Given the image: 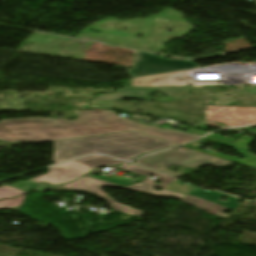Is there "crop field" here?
Listing matches in <instances>:
<instances>
[{
  "mask_svg": "<svg viewBox=\"0 0 256 256\" xmlns=\"http://www.w3.org/2000/svg\"><path fill=\"white\" fill-rule=\"evenodd\" d=\"M149 100H154V99H149ZM170 100H173V99L172 98H168V99H161V100H158V101H170Z\"/></svg>",
  "mask_w": 256,
  "mask_h": 256,
  "instance_id": "obj_23",
  "label": "crop field"
},
{
  "mask_svg": "<svg viewBox=\"0 0 256 256\" xmlns=\"http://www.w3.org/2000/svg\"><path fill=\"white\" fill-rule=\"evenodd\" d=\"M254 89H256V87H254V88H249V89H245L244 91H246V92H252V93L256 94V90H254Z\"/></svg>",
  "mask_w": 256,
  "mask_h": 256,
  "instance_id": "obj_22",
  "label": "crop field"
},
{
  "mask_svg": "<svg viewBox=\"0 0 256 256\" xmlns=\"http://www.w3.org/2000/svg\"><path fill=\"white\" fill-rule=\"evenodd\" d=\"M255 201H256V199H255Z\"/></svg>",
  "mask_w": 256,
  "mask_h": 256,
  "instance_id": "obj_26",
  "label": "crop field"
},
{
  "mask_svg": "<svg viewBox=\"0 0 256 256\" xmlns=\"http://www.w3.org/2000/svg\"><path fill=\"white\" fill-rule=\"evenodd\" d=\"M38 187V186H37ZM35 191H41V192H47V191H53L51 189H48L46 187H43V186H39L38 188L34 189Z\"/></svg>",
  "mask_w": 256,
  "mask_h": 256,
  "instance_id": "obj_19",
  "label": "crop field"
},
{
  "mask_svg": "<svg viewBox=\"0 0 256 256\" xmlns=\"http://www.w3.org/2000/svg\"><path fill=\"white\" fill-rule=\"evenodd\" d=\"M197 66V64L190 61L167 60L137 51L135 68L128 70V72L131 77H135Z\"/></svg>",
  "mask_w": 256,
  "mask_h": 256,
  "instance_id": "obj_5",
  "label": "crop field"
},
{
  "mask_svg": "<svg viewBox=\"0 0 256 256\" xmlns=\"http://www.w3.org/2000/svg\"><path fill=\"white\" fill-rule=\"evenodd\" d=\"M138 81H141L139 83ZM177 86L173 73L134 78L132 87Z\"/></svg>",
  "mask_w": 256,
  "mask_h": 256,
  "instance_id": "obj_9",
  "label": "crop field"
},
{
  "mask_svg": "<svg viewBox=\"0 0 256 256\" xmlns=\"http://www.w3.org/2000/svg\"><path fill=\"white\" fill-rule=\"evenodd\" d=\"M58 191H77V190H73V189H70V188H67V187H63V186H60V187H57V188H54Z\"/></svg>",
  "mask_w": 256,
  "mask_h": 256,
  "instance_id": "obj_20",
  "label": "crop field"
},
{
  "mask_svg": "<svg viewBox=\"0 0 256 256\" xmlns=\"http://www.w3.org/2000/svg\"><path fill=\"white\" fill-rule=\"evenodd\" d=\"M241 134H238L236 137L234 138H227V137H223V136H219V135H215V134H211V135H208L204 138H202V140L206 139V138H209V137H214V138H218V139H221V140H225V141H228V142H233L235 139H237Z\"/></svg>",
  "mask_w": 256,
  "mask_h": 256,
  "instance_id": "obj_18",
  "label": "crop field"
},
{
  "mask_svg": "<svg viewBox=\"0 0 256 256\" xmlns=\"http://www.w3.org/2000/svg\"><path fill=\"white\" fill-rule=\"evenodd\" d=\"M211 109L213 112L211 119L213 120L227 121L241 125L256 124V122L253 121L231 117L228 107L212 106Z\"/></svg>",
  "mask_w": 256,
  "mask_h": 256,
  "instance_id": "obj_10",
  "label": "crop field"
},
{
  "mask_svg": "<svg viewBox=\"0 0 256 256\" xmlns=\"http://www.w3.org/2000/svg\"><path fill=\"white\" fill-rule=\"evenodd\" d=\"M2 184H5V183H2ZM7 185H9V184H7ZM38 184H35V183H32V182H30V181H27V182H22V181H19V182H17V183H14V184H12V185H10V186H13V187H16V188H18V189H21V190H24V191H27V192H29V190L31 189V188H33V187H35V186H37Z\"/></svg>",
  "mask_w": 256,
  "mask_h": 256,
  "instance_id": "obj_16",
  "label": "crop field"
},
{
  "mask_svg": "<svg viewBox=\"0 0 256 256\" xmlns=\"http://www.w3.org/2000/svg\"><path fill=\"white\" fill-rule=\"evenodd\" d=\"M24 199L25 198L22 197L18 199L0 201V209H9V210L16 211L19 209Z\"/></svg>",
  "mask_w": 256,
  "mask_h": 256,
  "instance_id": "obj_14",
  "label": "crop field"
},
{
  "mask_svg": "<svg viewBox=\"0 0 256 256\" xmlns=\"http://www.w3.org/2000/svg\"><path fill=\"white\" fill-rule=\"evenodd\" d=\"M211 114H212V112H211L210 106H207V119L208 120H209Z\"/></svg>",
  "mask_w": 256,
  "mask_h": 256,
  "instance_id": "obj_21",
  "label": "crop field"
},
{
  "mask_svg": "<svg viewBox=\"0 0 256 256\" xmlns=\"http://www.w3.org/2000/svg\"><path fill=\"white\" fill-rule=\"evenodd\" d=\"M222 123H225V124L230 125V126H241V125L231 124V123H227V122H222Z\"/></svg>",
  "mask_w": 256,
  "mask_h": 256,
  "instance_id": "obj_24",
  "label": "crop field"
},
{
  "mask_svg": "<svg viewBox=\"0 0 256 256\" xmlns=\"http://www.w3.org/2000/svg\"><path fill=\"white\" fill-rule=\"evenodd\" d=\"M137 131L178 145L194 136L161 130L118 117L112 110H88L80 112L77 120L65 118H23L0 122V140L8 142L38 143L86 136L105 135L117 132Z\"/></svg>",
  "mask_w": 256,
  "mask_h": 256,
  "instance_id": "obj_1",
  "label": "crop field"
},
{
  "mask_svg": "<svg viewBox=\"0 0 256 256\" xmlns=\"http://www.w3.org/2000/svg\"><path fill=\"white\" fill-rule=\"evenodd\" d=\"M210 140H212L214 142H217V143H220V144L228 145V146H231V147L235 148L238 152H240L242 154V156H244L247 159L245 161H242V160H238V159H236L234 157H230V156H225V155H221V154H213V153L204 152V151L199 150L198 148H196L193 145H187L185 147L194 149V150L202 152V153L214 155V156H217V157H220V158H223V159L232 160V161H234V162H236L238 164H244V165H246L248 167L256 169V156L248 152V145L252 141V138L243 136L239 140H237L234 144L218 141V140H215L213 138L209 139L208 141H210Z\"/></svg>",
  "mask_w": 256,
  "mask_h": 256,
  "instance_id": "obj_8",
  "label": "crop field"
},
{
  "mask_svg": "<svg viewBox=\"0 0 256 256\" xmlns=\"http://www.w3.org/2000/svg\"><path fill=\"white\" fill-rule=\"evenodd\" d=\"M167 146H175V144L137 132L62 140L54 142L52 161L58 163L93 152L129 160Z\"/></svg>",
  "mask_w": 256,
  "mask_h": 256,
  "instance_id": "obj_2",
  "label": "crop field"
},
{
  "mask_svg": "<svg viewBox=\"0 0 256 256\" xmlns=\"http://www.w3.org/2000/svg\"><path fill=\"white\" fill-rule=\"evenodd\" d=\"M231 115L234 117H239L243 119H249L256 121V109L253 108H237L229 107Z\"/></svg>",
  "mask_w": 256,
  "mask_h": 256,
  "instance_id": "obj_12",
  "label": "crop field"
},
{
  "mask_svg": "<svg viewBox=\"0 0 256 256\" xmlns=\"http://www.w3.org/2000/svg\"><path fill=\"white\" fill-rule=\"evenodd\" d=\"M235 87H239V88H244V86H241V85H233Z\"/></svg>",
  "mask_w": 256,
  "mask_h": 256,
  "instance_id": "obj_25",
  "label": "crop field"
},
{
  "mask_svg": "<svg viewBox=\"0 0 256 256\" xmlns=\"http://www.w3.org/2000/svg\"><path fill=\"white\" fill-rule=\"evenodd\" d=\"M191 91L189 87H157V88H121L111 95H97L95 100L115 101L121 98H135L147 100L148 95L154 92H162L173 98L183 97Z\"/></svg>",
  "mask_w": 256,
  "mask_h": 256,
  "instance_id": "obj_6",
  "label": "crop field"
},
{
  "mask_svg": "<svg viewBox=\"0 0 256 256\" xmlns=\"http://www.w3.org/2000/svg\"><path fill=\"white\" fill-rule=\"evenodd\" d=\"M217 100L212 101L214 105H222L229 106L235 102H238L236 99L226 96L224 94L221 95H213Z\"/></svg>",
  "mask_w": 256,
  "mask_h": 256,
  "instance_id": "obj_15",
  "label": "crop field"
},
{
  "mask_svg": "<svg viewBox=\"0 0 256 256\" xmlns=\"http://www.w3.org/2000/svg\"><path fill=\"white\" fill-rule=\"evenodd\" d=\"M118 170L135 173L138 174L141 178L136 181L142 184H148L152 185L154 187L164 188L167 190H171L178 193L187 194L182 202L192 204L193 202L196 203L195 206H197L199 209L206 211L207 213L214 214L220 217H227V214L221 213L222 210H234L239 206L238 199H235L233 197L221 194L216 191H207L203 190L194 186H191L189 184H184L176 180L175 178L165 176L153 171H149L140 167H136L133 165H125ZM90 173L86 176L101 179L107 182L123 185L126 187L131 186L132 184L136 182L127 181V180H117L113 178L108 177H94ZM149 175L158 176V178L155 181L146 179ZM156 181H159L160 183H155ZM224 196L228 197V201L220 200ZM190 201V202H187ZM194 205V204H192Z\"/></svg>",
  "mask_w": 256,
  "mask_h": 256,
  "instance_id": "obj_3",
  "label": "crop field"
},
{
  "mask_svg": "<svg viewBox=\"0 0 256 256\" xmlns=\"http://www.w3.org/2000/svg\"><path fill=\"white\" fill-rule=\"evenodd\" d=\"M48 170L49 172L46 175L38 176L36 178H32L31 180L39 183L45 182L51 185H58L68 183L90 172L93 169L79 164L75 161H72L52 168H48Z\"/></svg>",
  "mask_w": 256,
  "mask_h": 256,
  "instance_id": "obj_7",
  "label": "crop field"
},
{
  "mask_svg": "<svg viewBox=\"0 0 256 256\" xmlns=\"http://www.w3.org/2000/svg\"><path fill=\"white\" fill-rule=\"evenodd\" d=\"M75 161L82 163L86 166H89L93 169L100 167V166L117 165V164L123 163V162L117 161L115 159L105 157V156H99V155H93V156L85 157V158L75 160Z\"/></svg>",
  "mask_w": 256,
  "mask_h": 256,
  "instance_id": "obj_11",
  "label": "crop field"
},
{
  "mask_svg": "<svg viewBox=\"0 0 256 256\" xmlns=\"http://www.w3.org/2000/svg\"><path fill=\"white\" fill-rule=\"evenodd\" d=\"M26 193L27 192L5 185L0 188V200L25 195Z\"/></svg>",
  "mask_w": 256,
  "mask_h": 256,
  "instance_id": "obj_13",
  "label": "crop field"
},
{
  "mask_svg": "<svg viewBox=\"0 0 256 256\" xmlns=\"http://www.w3.org/2000/svg\"><path fill=\"white\" fill-rule=\"evenodd\" d=\"M112 102H104V101H96L94 104L91 105H84L86 108H104L109 107Z\"/></svg>",
  "mask_w": 256,
  "mask_h": 256,
  "instance_id": "obj_17",
  "label": "crop field"
},
{
  "mask_svg": "<svg viewBox=\"0 0 256 256\" xmlns=\"http://www.w3.org/2000/svg\"><path fill=\"white\" fill-rule=\"evenodd\" d=\"M133 163L141 166L153 168L156 170H160L164 173L172 174L175 176H182L179 173H176L174 171H171L165 168L171 164L180 165L183 167L196 168L197 165H202V164L223 166V165L230 164L231 162L221 160L215 157H211L191 149L187 151H183L179 149H176V150L171 149L166 152L143 157Z\"/></svg>",
  "mask_w": 256,
  "mask_h": 256,
  "instance_id": "obj_4",
  "label": "crop field"
}]
</instances>
